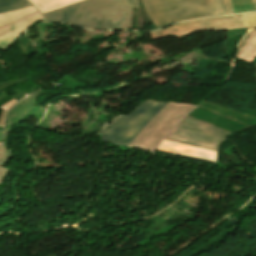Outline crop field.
<instances>
[{
  "mask_svg": "<svg viewBox=\"0 0 256 256\" xmlns=\"http://www.w3.org/2000/svg\"><path fill=\"white\" fill-rule=\"evenodd\" d=\"M216 16L235 14L230 0H211Z\"/></svg>",
  "mask_w": 256,
  "mask_h": 256,
  "instance_id": "obj_13",
  "label": "crop field"
},
{
  "mask_svg": "<svg viewBox=\"0 0 256 256\" xmlns=\"http://www.w3.org/2000/svg\"><path fill=\"white\" fill-rule=\"evenodd\" d=\"M33 3L41 13L53 10L55 8L74 3L80 0H29Z\"/></svg>",
  "mask_w": 256,
  "mask_h": 256,
  "instance_id": "obj_10",
  "label": "crop field"
},
{
  "mask_svg": "<svg viewBox=\"0 0 256 256\" xmlns=\"http://www.w3.org/2000/svg\"><path fill=\"white\" fill-rule=\"evenodd\" d=\"M3 129H4V128H1V127H0V131H3ZM2 135H3V133H0V141H2Z\"/></svg>",
  "mask_w": 256,
  "mask_h": 256,
  "instance_id": "obj_20",
  "label": "crop field"
},
{
  "mask_svg": "<svg viewBox=\"0 0 256 256\" xmlns=\"http://www.w3.org/2000/svg\"><path fill=\"white\" fill-rule=\"evenodd\" d=\"M29 78L30 77H25V78H21V79L9 81V82L0 83V101L10 97L3 89L10 87L12 85H15V84H17L23 80L29 79Z\"/></svg>",
  "mask_w": 256,
  "mask_h": 256,
  "instance_id": "obj_16",
  "label": "crop field"
},
{
  "mask_svg": "<svg viewBox=\"0 0 256 256\" xmlns=\"http://www.w3.org/2000/svg\"><path fill=\"white\" fill-rule=\"evenodd\" d=\"M6 112L2 111L1 115H0V126L4 127V115Z\"/></svg>",
  "mask_w": 256,
  "mask_h": 256,
  "instance_id": "obj_19",
  "label": "crop field"
},
{
  "mask_svg": "<svg viewBox=\"0 0 256 256\" xmlns=\"http://www.w3.org/2000/svg\"><path fill=\"white\" fill-rule=\"evenodd\" d=\"M256 36V29L252 30L251 32H249L245 38L241 41V43L238 46L237 49V53H236V59L238 58V56L240 55V53L242 52V50L244 49V47L247 45V43Z\"/></svg>",
  "mask_w": 256,
  "mask_h": 256,
  "instance_id": "obj_17",
  "label": "crop field"
},
{
  "mask_svg": "<svg viewBox=\"0 0 256 256\" xmlns=\"http://www.w3.org/2000/svg\"><path fill=\"white\" fill-rule=\"evenodd\" d=\"M32 6L27 0H0V13Z\"/></svg>",
  "mask_w": 256,
  "mask_h": 256,
  "instance_id": "obj_12",
  "label": "crop field"
},
{
  "mask_svg": "<svg viewBox=\"0 0 256 256\" xmlns=\"http://www.w3.org/2000/svg\"><path fill=\"white\" fill-rule=\"evenodd\" d=\"M167 103L144 100L134 110L105 131L101 139L110 144L127 147L148 121Z\"/></svg>",
  "mask_w": 256,
  "mask_h": 256,
  "instance_id": "obj_4",
  "label": "crop field"
},
{
  "mask_svg": "<svg viewBox=\"0 0 256 256\" xmlns=\"http://www.w3.org/2000/svg\"><path fill=\"white\" fill-rule=\"evenodd\" d=\"M36 10L37 9H35L32 6V7L26 8V9L0 14V27L6 26V25L36 11Z\"/></svg>",
  "mask_w": 256,
  "mask_h": 256,
  "instance_id": "obj_11",
  "label": "crop field"
},
{
  "mask_svg": "<svg viewBox=\"0 0 256 256\" xmlns=\"http://www.w3.org/2000/svg\"><path fill=\"white\" fill-rule=\"evenodd\" d=\"M158 152H164L184 157H189L193 159L208 161V162H215L216 153L170 142L163 140L161 145L156 150Z\"/></svg>",
  "mask_w": 256,
  "mask_h": 256,
  "instance_id": "obj_9",
  "label": "crop field"
},
{
  "mask_svg": "<svg viewBox=\"0 0 256 256\" xmlns=\"http://www.w3.org/2000/svg\"><path fill=\"white\" fill-rule=\"evenodd\" d=\"M229 133L186 116L165 139L216 152L217 143Z\"/></svg>",
  "mask_w": 256,
  "mask_h": 256,
  "instance_id": "obj_5",
  "label": "crop field"
},
{
  "mask_svg": "<svg viewBox=\"0 0 256 256\" xmlns=\"http://www.w3.org/2000/svg\"><path fill=\"white\" fill-rule=\"evenodd\" d=\"M138 0H84L44 13V21L67 22L89 29H133Z\"/></svg>",
  "mask_w": 256,
  "mask_h": 256,
  "instance_id": "obj_1",
  "label": "crop field"
},
{
  "mask_svg": "<svg viewBox=\"0 0 256 256\" xmlns=\"http://www.w3.org/2000/svg\"><path fill=\"white\" fill-rule=\"evenodd\" d=\"M196 105L170 102L140 131L128 147L154 152L172 127Z\"/></svg>",
  "mask_w": 256,
  "mask_h": 256,
  "instance_id": "obj_3",
  "label": "crop field"
},
{
  "mask_svg": "<svg viewBox=\"0 0 256 256\" xmlns=\"http://www.w3.org/2000/svg\"><path fill=\"white\" fill-rule=\"evenodd\" d=\"M236 13L256 11L252 0H231Z\"/></svg>",
  "mask_w": 256,
  "mask_h": 256,
  "instance_id": "obj_14",
  "label": "crop field"
},
{
  "mask_svg": "<svg viewBox=\"0 0 256 256\" xmlns=\"http://www.w3.org/2000/svg\"><path fill=\"white\" fill-rule=\"evenodd\" d=\"M254 1V4H255V7H256V0H253Z\"/></svg>",
  "mask_w": 256,
  "mask_h": 256,
  "instance_id": "obj_21",
  "label": "crop field"
},
{
  "mask_svg": "<svg viewBox=\"0 0 256 256\" xmlns=\"http://www.w3.org/2000/svg\"><path fill=\"white\" fill-rule=\"evenodd\" d=\"M9 171H10L9 168L0 166V184H2L3 180L5 179Z\"/></svg>",
  "mask_w": 256,
  "mask_h": 256,
  "instance_id": "obj_18",
  "label": "crop field"
},
{
  "mask_svg": "<svg viewBox=\"0 0 256 256\" xmlns=\"http://www.w3.org/2000/svg\"><path fill=\"white\" fill-rule=\"evenodd\" d=\"M256 57V37L245 47L238 59L251 62Z\"/></svg>",
  "mask_w": 256,
  "mask_h": 256,
  "instance_id": "obj_15",
  "label": "crop field"
},
{
  "mask_svg": "<svg viewBox=\"0 0 256 256\" xmlns=\"http://www.w3.org/2000/svg\"><path fill=\"white\" fill-rule=\"evenodd\" d=\"M155 28L215 16L210 0H142Z\"/></svg>",
  "mask_w": 256,
  "mask_h": 256,
  "instance_id": "obj_2",
  "label": "crop field"
},
{
  "mask_svg": "<svg viewBox=\"0 0 256 256\" xmlns=\"http://www.w3.org/2000/svg\"><path fill=\"white\" fill-rule=\"evenodd\" d=\"M42 94L44 93L43 90H40L32 95H30L29 97L25 98L24 100H22L20 103H18L17 105H15L7 114V118H6V129H5V136H4V144L0 147V165L3 166L5 164V162L10 159L11 155L5 154L6 152V142H7V138H8V133L10 131L11 128V123L15 122H19L21 121V118L24 117L26 115V113L28 111H30V109H32L33 107H35L37 104L35 97L39 96L38 94Z\"/></svg>",
  "mask_w": 256,
  "mask_h": 256,
  "instance_id": "obj_7",
  "label": "crop field"
},
{
  "mask_svg": "<svg viewBox=\"0 0 256 256\" xmlns=\"http://www.w3.org/2000/svg\"><path fill=\"white\" fill-rule=\"evenodd\" d=\"M244 27H246L244 16L240 14L179 23L150 34L152 40H155L167 36L184 37L199 31L229 30Z\"/></svg>",
  "mask_w": 256,
  "mask_h": 256,
  "instance_id": "obj_6",
  "label": "crop field"
},
{
  "mask_svg": "<svg viewBox=\"0 0 256 256\" xmlns=\"http://www.w3.org/2000/svg\"><path fill=\"white\" fill-rule=\"evenodd\" d=\"M43 21L39 11L6 27L0 28V49L10 48L19 36L34 24Z\"/></svg>",
  "mask_w": 256,
  "mask_h": 256,
  "instance_id": "obj_8",
  "label": "crop field"
}]
</instances>
